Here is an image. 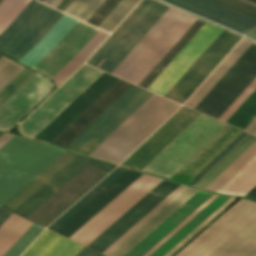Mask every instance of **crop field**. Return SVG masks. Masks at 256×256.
Masks as SVG:
<instances>
[{
  "label": "crop field",
  "mask_w": 256,
  "mask_h": 256,
  "mask_svg": "<svg viewBox=\"0 0 256 256\" xmlns=\"http://www.w3.org/2000/svg\"><path fill=\"white\" fill-rule=\"evenodd\" d=\"M88 164L107 173L116 167L66 151L2 208L26 218Z\"/></svg>",
  "instance_id": "crop-field-1"
},
{
  "label": "crop field",
  "mask_w": 256,
  "mask_h": 256,
  "mask_svg": "<svg viewBox=\"0 0 256 256\" xmlns=\"http://www.w3.org/2000/svg\"><path fill=\"white\" fill-rule=\"evenodd\" d=\"M179 107L154 94L91 156L121 163Z\"/></svg>",
  "instance_id": "crop-field-2"
},
{
  "label": "crop field",
  "mask_w": 256,
  "mask_h": 256,
  "mask_svg": "<svg viewBox=\"0 0 256 256\" xmlns=\"http://www.w3.org/2000/svg\"><path fill=\"white\" fill-rule=\"evenodd\" d=\"M167 9L154 0H142L87 63L111 74ZM100 57L104 59L93 65Z\"/></svg>",
  "instance_id": "crop-field-3"
},
{
  "label": "crop field",
  "mask_w": 256,
  "mask_h": 256,
  "mask_svg": "<svg viewBox=\"0 0 256 256\" xmlns=\"http://www.w3.org/2000/svg\"><path fill=\"white\" fill-rule=\"evenodd\" d=\"M141 175L118 167L48 228L69 238Z\"/></svg>",
  "instance_id": "crop-field-4"
},
{
  "label": "crop field",
  "mask_w": 256,
  "mask_h": 256,
  "mask_svg": "<svg viewBox=\"0 0 256 256\" xmlns=\"http://www.w3.org/2000/svg\"><path fill=\"white\" fill-rule=\"evenodd\" d=\"M226 125L201 115L143 171L170 179Z\"/></svg>",
  "instance_id": "crop-field-5"
},
{
  "label": "crop field",
  "mask_w": 256,
  "mask_h": 256,
  "mask_svg": "<svg viewBox=\"0 0 256 256\" xmlns=\"http://www.w3.org/2000/svg\"><path fill=\"white\" fill-rule=\"evenodd\" d=\"M61 15L62 13L31 0L0 33V52L18 61Z\"/></svg>",
  "instance_id": "crop-field-6"
},
{
  "label": "crop field",
  "mask_w": 256,
  "mask_h": 256,
  "mask_svg": "<svg viewBox=\"0 0 256 256\" xmlns=\"http://www.w3.org/2000/svg\"><path fill=\"white\" fill-rule=\"evenodd\" d=\"M256 77V45L251 44L195 110L216 120Z\"/></svg>",
  "instance_id": "crop-field-7"
},
{
  "label": "crop field",
  "mask_w": 256,
  "mask_h": 256,
  "mask_svg": "<svg viewBox=\"0 0 256 256\" xmlns=\"http://www.w3.org/2000/svg\"><path fill=\"white\" fill-rule=\"evenodd\" d=\"M102 74L84 65L19 126L21 134L34 138Z\"/></svg>",
  "instance_id": "crop-field-8"
},
{
  "label": "crop field",
  "mask_w": 256,
  "mask_h": 256,
  "mask_svg": "<svg viewBox=\"0 0 256 256\" xmlns=\"http://www.w3.org/2000/svg\"><path fill=\"white\" fill-rule=\"evenodd\" d=\"M152 95L153 93L132 85L70 146L80 148L89 140L101 144Z\"/></svg>",
  "instance_id": "crop-field-9"
},
{
  "label": "crop field",
  "mask_w": 256,
  "mask_h": 256,
  "mask_svg": "<svg viewBox=\"0 0 256 256\" xmlns=\"http://www.w3.org/2000/svg\"><path fill=\"white\" fill-rule=\"evenodd\" d=\"M106 175L88 165L27 219L47 227Z\"/></svg>",
  "instance_id": "crop-field-10"
},
{
  "label": "crop field",
  "mask_w": 256,
  "mask_h": 256,
  "mask_svg": "<svg viewBox=\"0 0 256 256\" xmlns=\"http://www.w3.org/2000/svg\"><path fill=\"white\" fill-rule=\"evenodd\" d=\"M179 186L163 180L88 247L102 253Z\"/></svg>",
  "instance_id": "crop-field-11"
},
{
  "label": "crop field",
  "mask_w": 256,
  "mask_h": 256,
  "mask_svg": "<svg viewBox=\"0 0 256 256\" xmlns=\"http://www.w3.org/2000/svg\"><path fill=\"white\" fill-rule=\"evenodd\" d=\"M221 31L206 23L148 90L164 96Z\"/></svg>",
  "instance_id": "crop-field-12"
},
{
  "label": "crop field",
  "mask_w": 256,
  "mask_h": 256,
  "mask_svg": "<svg viewBox=\"0 0 256 256\" xmlns=\"http://www.w3.org/2000/svg\"><path fill=\"white\" fill-rule=\"evenodd\" d=\"M51 89V82L35 74L0 107V129L9 131Z\"/></svg>",
  "instance_id": "crop-field-13"
},
{
  "label": "crop field",
  "mask_w": 256,
  "mask_h": 256,
  "mask_svg": "<svg viewBox=\"0 0 256 256\" xmlns=\"http://www.w3.org/2000/svg\"><path fill=\"white\" fill-rule=\"evenodd\" d=\"M96 31L97 29L78 21L57 46L33 69L52 78L75 57Z\"/></svg>",
  "instance_id": "crop-field-14"
},
{
  "label": "crop field",
  "mask_w": 256,
  "mask_h": 256,
  "mask_svg": "<svg viewBox=\"0 0 256 256\" xmlns=\"http://www.w3.org/2000/svg\"><path fill=\"white\" fill-rule=\"evenodd\" d=\"M130 86L131 84L117 79L58 136H56L50 144L66 148Z\"/></svg>",
  "instance_id": "crop-field-15"
},
{
  "label": "crop field",
  "mask_w": 256,
  "mask_h": 256,
  "mask_svg": "<svg viewBox=\"0 0 256 256\" xmlns=\"http://www.w3.org/2000/svg\"><path fill=\"white\" fill-rule=\"evenodd\" d=\"M163 1L242 34L256 27V20L208 0Z\"/></svg>",
  "instance_id": "crop-field-16"
},
{
  "label": "crop field",
  "mask_w": 256,
  "mask_h": 256,
  "mask_svg": "<svg viewBox=\"0 0 256 256\" xmlns=\"http://www.w3.org/2000/svg\"><path fill=\"white\" fill-rule=\"evenodd\" d=\"M115 80L116 78L104 73L42 132H40L35 139L49 143Z\"/></svg>",
  "instance_id": "crop-field-17"
},
{
  "label": "crop field",
  "mask_w": 256,
  "mask_h": 256,
  "mask_svg": "<svg viewBox=\"0 0 256 256\" xmlns=\"http://www.w3.org/2000/svg\"><path fill=\"white\" fill-rule=\"evenodd\" d=\"M161 181V179L151 177L144 184L142 183V186L137 190L135 189V192H133L129 197L127 196L128 198H126L122 203L120 202L121 204H119L115 209L113 208L114 210L85 233L80 239H78L77 242L87 246Z\"/></svg>",
  "instance_id": "crop-field-18"
},
{
  "label": "crop field",
  "mask_w": 256,
  "mask_h": 256,
  "mask_svg": "<svg viewBox=\"0 0 256 256\" xmlns=\"http://www.w3.org/2000/svg\"><path fill=\"white\" fill-rule=\"evenodd\" d=\"M82 246L45 230L22 256H75Z\"/></svg>",
  "instance_id": "crop-field-19"
},
{
  "label": "crop field",
  "mask_w": 256,
  "mask_h": 256,
  "mask_svg": "<svg viewBox=\"0 0 256 256\" xmlns=\"http://www.w3.org/2000/svg\"><path fill=\"white\" fill-rule=\"evenodd\" d=\"M211 256H256V217Z\"/></svg>",
  "instance_id": "crop-field-20"
},
{
  "label": "crop field",
  "mask_w": 256,
  "mask_h": 256,
  "mask_svg": "<svg viewBox=\"0 0 256 256\" xmlns=\"http://www.w3.org/2000/svg\"><path fill=\"white\" fill-rule=\"evenodd\" d=\"M256 186V156L251 159L218 193L245 196Z\"/></svg>",
  "instance_id": "crop-field-21"
},
{
  "label": "crop field",
  "mask_w": 256,
  "mask_h": 256,
  "mask_svg": "<svg viewBox=\"0 0 256 256\" xmlns=\"http://www.w3.org/2000/svg\"><path fill=\"white\" fill-rule=\"evenodd\" d=\"M204 23L205 22L197 20L183 35V37L173 46V48L163 57V59L153 68V70L143 79L139 86L147 89Z\"/></svg>",
  "instance_id": "crop-field-22"
},
{
  "label": "crop field",
  "mask_w": 256,
  "mask_h": 256,
  "mask_svg": "<svg viewBox=\"0 0 256 256\" xmlns=\"http://www.w3.org/2000/svg\"><path fill=\"white\" fill-rule=\"evenodd\" d=\"M255 141H256L255 137L248 135L229 154H227L215 167H213L201 180H199L195 184V186L205 189L213 180H215L231 163H233Z\"/></svg>",
  "instance_id": "crop-field-23"
},
{
  "label": "crop field",
  "mask_w": 256,
  "mask_h": 256,
  "mask_svg": "<svg viewBox=\"0 0 256 256\" xmlns=\"http://www.w3.org/2000/svg\"><path fill=\"white\" fill-rule=\"evenodd\" d=\"M31 223L11 214L0 226V256L25 232Z\"/></svg>",
  "instance_id": "crop-field-24"
},
{
  "label": "crop field",
  "mask_w": 256,
  "mask_h": 256,
  "mask_svg": "<svg viewBox=\"0 0 256 256\" xmlns=\"http://www.w3.org/2000/svg\"><path fill=\"white\" fill-rule=\"evenodd\" d=\"M150 176L143 174L133 184H131L126 190H124L118 197H116L111 203H109L103 210H101L96 216H94L88 223H86L81 229H79L70 239L76 241L85 232H87L92 226H94L99 220H101L106 214H108L113 208H115L120 202H122L127 196H129L135 189H137L142 183H144Z\"/></svg>",
  "instance_id": "crop-field-25"
},
{
  "label": "crop field",
  "mask_w": 256,
  "mask_h": 256,
  "mask_svg": "<svg viewBox=\"0 0 256 256\" xmlns=\"http://www.w3.org/2000/svg\"><path fill=\"white\" fill-rule=\"evenodd\" d=\"M256 155V142L230 165L206 190L216 192Z\"/></svg>",
  "instance_id": "crop-field-26"
},
{
  "label": "crop field",
  "mask_w": 256,
  "mask_h": 256,
  "mask_svg": "<svg viewBox=\"0 0 256 256\" xmlns=\"http://www.w3.org/2000/svg\"><path fill=\"white\" fill-rule=\"evenodd\" d=\"M138 2L139 0H121L98 28L110 33Z\"/></svg>",
  "instance_id": "crop-field-27"
},
{
  "label": "crop field",
  "mask_w": 256,
  "mask_h": 256,
  "mask_svg": "<svg viewBox=\"0 0 256 256\" xmlns=\"http://www.w3.org/2000/svg\"><path fill=\"white\" fill-rule=\"evenodd\" d=\"M103 1L104 0H72L63 12L86 22Z\"/></svg>",
  "instance_id": "crop-field-28"
},
{
  "label": "crop field",
  "mask_w": 256,
  "mask_h": 256,
  "mask_svg": "<svg viewBox=\"0 0 256 256\" xmlns=\"http://www.w3.org/2000/svg\"><path fill=\"white\" fill-rule=\"evenodd\" d=\"M256 110V89L238 108V110L229 118L226 124L239 129L242 124Z\"/></svg>",
  "instance_id": "crop-field-29"
},
{
  "label": "crop field",
  "mask_w": 256,
  "mask_h": 256,
  "mask_svg": "<svg viewBox=\"0 0 256 256\" xmlns=\"http://www.w3.org/2000/svg\"><path fill=\"white\" fill-rule=\"evenodd\" d=\"M42 230V228L32 224L4 256H19Z\"/></svg>",
  "instance_id": "crop-field-30"
},
{
  "label": "crop field",
  "mask_w": 256,
  "mask_h": 256,
  "mask_svg": "<svg viewBox=\"0 0 256 256\" xmlns=\"http://www.w3.org/2000/svg\"><path fill=\"white\" fill-rule=\"evenodd\" d=\"M35 73L23 69L16 77H14L1 91H0V106L10 98L26 81H28Z\"/></svg>",
  "instance_id": "crop-field-31"
},
{
  "label": "crop field",
  "mask_w": 256,
  "mask_h": 256,
  "mask_svg": "<svg viewBox=\"0 0 256 256\" xmlns=\"http://www.w3.org/2000/svg\"><path fill=\"white\" fill-rule=\"evenodd\" d=\"M236 200L237 199L235 198H230L203 223H201L196 229H194L188 236H186L180 243H178L173 249H171L165 256H172L174 253H176L182 246H184L189 240H191L197 233H199L204 227H206L212 220H214L219 214H221Z\"/></svg>",
  "instance_id": "crop-field-32"
},
{
  "label": "crop field",
  "mask_w": 256,
  "mask_h": 256,
  "mask_svg": "<svg viewBox=\"0 0 256 256\" xmlns=\"http://www.w3.org/2000/svg\"><path fill=\"white\" fill-rule=\"evenodd\" d=\"M23 67L5 59H0V90L14 77Z\"/></svg>",
  "instance_id": "crop-field-33"
},
{
  "label": "crop field",
  "mask_w": 256,
  "mask_h": 256,
  "mask_svg": "<svg viewBox=\"0 0 256 256\" xmlns=\"http://www.w3.org/2000/svg\"><path fill=\"white\" fill-rule=\"evenodd\" d=\"M247 134L241 133L234 141H232L216 158H214L197 176H195L188 184L194 185L201 179L213 166H215L227 153H229Z\"/></svg>",
  "instance_id": "crop-field-34"
},
{
  "label": "crop field",
  "mask_w": 256,
  "mask_h": 256,
  "mask_svg": "<svg viewBox=\"0 0 256 256\" xmlns=\"http://www.w3.org/2000/svg\"><path fill=\"white\" fill-rule=\"evenodd\" d=\"M232 10L256 19V8L237 0H211Z\"/></svg>",
  "instance_id": "crop-field-35"
},
{
  "label": "crop field",
  "mask_w": 256,
  "mask_h": 256,
  "mask_svg": "<svg viewBox=\"0 0 256 256\" xmlns=\"http://www.w3.org/2000/svg\"><path fill=\"white\" fill-rule=\"evenodd\" d=\"M119 1L120 0H105L97 11L90 17L87 23L97 27Z\"/></svg>",
  "instance_id": "crop-field-36"
},
{
  "label": "crop field",
  "mask_w": 256,
  "mask_h": 256,
  "mask_svg": "<svg viewBox=\"0 0 256 256\" xmlns=\"http://www.w3.org/2000/svg\"><path fill=\"white\" fill-rule=\"evenodd\" d=\"M256 88V79L248 86V88L239 96V98L231 105V107L222 115L219 121L225 123L228 118L237 110V108L245 101V99Z\"/></svg>",
  "instance_id": "crop-field-37"
},
{
  "label": "crop field",
  "mask_w": 256,
  "mask_h": 256,
  "mask_svg": "<svg viewBox=\"0 0 256 256\" xmlns=\"http://www.w3.org/2000/svg\"><path fill=\"white\" fill-rule=\"evenodd\" d=\"M216 197V195H213L211 198H209L203 205H201L196 211H194L188 218H186L181 224H179L173 231H171L165 238H163L144 256H149L153 251H155L160 245H162L168 238H170L175 232H177L183 225H185L191 218H193L198 212H200L206 205H208Z\"/></svg>",
  "instance_id": "crop-field-38"
},
{
  "label": "crop field",
  "mask_w": 256,
  "mask_h": 256,
  "mask_svg": "<svg viewBox=\"0 0 256 256\" xmlns=\"http://www.w3.org/2000/svg\"><path fill=\"white\" fill-rule=\"evenodd\" d=\"M30 0H24L19 7L12 13V15L5 21V23L0 27V32L11 22V20L26 6ZM13 21V20H12Z\"/></svg>",
  "instance_id": "crop-field-39"
},
{
  "label": "crop field",
  "mask_w": 256,
  "mask_h": 256,
  "mask_svg": "<svg viewBox=\"0 0 256 256\" xmlns=\"http://www.w3.org/2000/svg\"><path fill=\"white\" fill-rule=\"evenodd\" d=\"M76 256H102V255L83 247Z\"/></svg>",
  "instance_id": "crop-field-40"
},
{
  "label": "crop field",
  "mask_w": 256,
  "mask_h": 256,
  "mask_svg": "<svg viewBox=\"0 0 256 256\" xmlns=\"http://www.w3.org/2000/svg\"><path fill=\"white\" fill-rule=\"evenodd\" d=\"M10 215V213L0 209V225L5 221V219Z\"/></svg>",
  "instance_id": "crop-field-41"
},
{
  "label": "crop field",
  "mask_w": 256,
  "mask_h": 256,
  "mask_svg": "<svg viewBox=\"0 0 256 256\" xmlns=\"http://www.w3.org/2000/svg\"><path fill=\"white\" fill-rule=\"evenodd\" d=\"M255 125H256V117L248 124V126L244 129V131L249 133Z\"/></svg>",
  "instance_id": "crop-field-42"
},
{
  "label": "crop field",
  "mask_w": 256,
  "mask_h": 256,
  "mask_svg": "<svg viewBox=\"0 0 256 256\" xmlns=\"http://www.w3.org/2000/svg\"><path fill=\"white\" fill-rule=\"evenodd\" d=\"M246 198L252 199L256 201V188H254L247 196Z\"/></svg>",
  "instance_id": "crop-field-43"
},
{
  "label": "crop field",
  "mask_w": 256,
  "mask_h": 256,
  "mask_svg": "<svg viewBox=\"0 0 256 256\" xmlns=\"http://www.w3.org/2000/svg\"><path fill=\"white\" fill-rule=\"evenodd\" d=\"M64 0H54L50 6L54 7V8H58L60 6V4L63 2Z\"/></svg>",
  "instance_id": "crop-field-44"
},
{
  "label": "crop field",
  "mask_w": 256,
  "mask_h": 256,
  "mask_svg": "<svg viewBox=\"0 0 256 256\" xmlns=\"http://www.w3.org/2000/svg\"><path fill=\"white\" fill-rule=\"evenodd\" d=\"M256 116V111L252 114V116L243 124V126L240 128L241 130H243L247 124Z\"/></svg>",
  "instance_id": "crop-field-45"
},
{
  "label": "crop field",
  "mask_w": 256,
  "mask_h": 256,
  "mask_svg": "<svg viewBox=\"0 0 256 256\" xmlns=\"http://www.w3.org/2000/svg\"><path fill=\"white\" fill-rule=\"evenodd\" d=\"M70 1H71V0H65V1L61 4V6L58 8V10L62 11Z\"/></svg>",
  "instance_id": "crop-field-46"
},
{
  "label": "crop field",
  "mask_w": 256,
  "mask_h": 256,
  "mask_svg": "<svg viewBox=\"0 0 256 256\" xmlns=\"http://www.w3.org/2000/svg\"><path fill=\"white\" fill-rule=\"evenodd\" d=\"M53 0H43L42 3L49 5Z\"/></svg>",
  "instance_id": "crop-field-47"
},
{
  "label": "crop field",
  "mask_w": 256,
  "mask_h": 256,
  "mask_svg": "<svg viewBox=\"0 0 256 256\" xmlns=\"http://www.w3.org/2000/svg\"><path fill=\"white\" fill-rule=\"evenodd\" d=\"M247 36H249V37H251V38H253V39L256 40V35H254V34H252V33L248 34Z\"/></svg>",
  "instance_id": "crop-field-48"
},
{
  "label": "crop field",
  "mask_w": 256,
  "mask_h": 256,
  "mask_svg": "<svg viewBox=\"0 0 256 256\" xmlns=\"http://www.w3.org/2000/svg\"><path fill=\"white\" fill-rule=\"evenodd\" d=\"M6 135V133H4L2 136H0V139L3 137V136H5Z\"/></svg>",
  "instance_id": "crop-field-49"
},
{
  "label": "crop field",
  "mask_w": 256,
  "mask_h": 256,
  "mask_svg": "<svg viewBox=\"0 0 256 256\" xmlns=\"http://www.w3.org/2000/svg\"><path fill=\"white\" fill-rule=\"evenodd\" d=\"M249 1H252V2L256 3V0H249Z\"/></svg>",
  "instance_id": "crop-field-50"
},
{
  "label": "crop field",
  "mask_w": 256,
  "mask_h": 256,
  "mask_svg": "<svg viewBox=\"0 0 256 256\" xmlns=\"http://www.w3.org/2000/svg\"><path fill=\"white\" fill-rule=\"evenodd\" d=\"M252 33L256 34V30H254Z\"/></svg>",
  "instance_id": "crop-field-51"
},
{
  "label": "crop field",
  "mask_w": 256,
  "mask_h": 256,
  "mask_svg": "<svg viewBox=\"0 0 256 256\" xmlns=\"http://www.w3.org/2000/svg\"><path fill=\"white\" fill-rule=\"evenodd\" d=\"M3 133L2 132H0V135H2Z\"/></svg>",
  "instance_id": "crop-field-52"
},
{
  "label": "crop field",
  "mask_w": 256,
  "mask_h": 256,
  "mask_svg": "<svg viewBox=\"0 0 256 256\" xmlns=\"http://www.w3.org/2000/svg\"><path fill=\"white\" fill-rule=\"evenodd\" d=\"M2 1H3V0H0V4H1Z\"/></svg>",
  "instance_id": "crop-field-53"
},
{
  "label": "crop field",
  "mask_w": 256,
  "mask_h": 256,
  "mask_svg": "<svg viewBox=\"0 0 256 256\" xmlns=\"http://www.w3.org/2000/svg\"><path fill=\"white\" fill-rule=\"evenodd\" d=\"M38 1H40V2H41L42 0H38Z\"/></svg>",
  "instance_id": "crop-field-54"
},
{
  "label": "crop field",
  "mask_w": 256,
  "mask_h": 256,
  "mask_svg": "<svg viewBox=\"0 0 256 256\" xmlns=\"http://www.w3.org/2000/svg\"><path fill=\"white\" fill-rule=\"evenodd\" d=\"M254 135L256 136V133Z\"/></svg>",
  "instance_id": "crop-field-55"
},
{
  "label": "crop field",
  "mask_w": 256,
  "mask_h": 256,
  "mask_svg": "<svg viewBox=\"0 0 256 256\" xmlns=\"http://www.w3.org/2000/svg\"><path fill=\"white\" fill-rule=\"evenodd\" d=\"M0 58H1V56H0Z\"/></svg>",
  "instance_id": "crop-field-56"
}]
</instances>
